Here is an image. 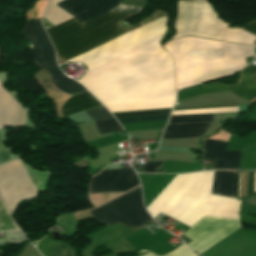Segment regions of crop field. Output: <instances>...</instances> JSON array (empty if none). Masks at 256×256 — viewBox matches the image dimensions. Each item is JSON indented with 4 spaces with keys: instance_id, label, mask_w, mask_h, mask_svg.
<instances>
[{
    "instance_id": "crop-field-1",
    "label": "crop field",
    "mask_w": 256,
    "mask_h": 256,
    "mask_svg": "<svg viewBox=\"0 0 256 256\" xmlns=\"http://www.w3.org/2000/svg\"><path fill=\"white\" fill-rule=\"evenodd\" d=\"M127 14L106 13L85 24L74 18L47 29L61 59L67 61L131 28H119ZM165 16L141 25L70 61L87 66L137 43L165 27ZM163 31L88 68L81 82L111 112L172 108L175 85L172 58L158 46Z\"/></svg>"
},
{
    "instance_id": "crop-field-2",
    "label": "crop field",
    "mask_w": 256,
    "mask_h": 256,
    "mask_svg": "<svg viewBox=\"0 0 256 256\" xmlns=\"http://www.w3.org/2000/svg\"><path fill=\"white\" fill-rule=\"evenodd\" d=\"M163 47L173 58L176 90L233 73L253 55L249 45L195 37L172 40Z\"/></svg>"
},
{
    "instance_id": "crop-field-3",
    "label": "crop field",
    "mask_w": 256,
    "mask_h": 256,
    "mask_svg": "<svg viewBox=\"0 0 256 256\" xmlns=\"http://www.w3.org/2000/svg\"><path fill=\"white\" fill-rule=\"evenodd\" d=\"M208 1H178L176 36L195 35L227 42L252 44L255 36L240 30L226 29Z\"/></svg>"
},
{
    "instance_id": "crop-field-4",
    "label": "crop field",
    "mask_w": 256,
    "mask_h": 256,
    "mask_svg": "<svg viewBox=\"0 0 256 256\" xmlns=\"http://www.w3.org/2000/svg\"><path fill=\"white\" fill-rule=\"evenodd\" d=\"M22 164L17 158L0 165V195L8 210L14 211L19 201L35 197L36 188L45 190L49 172H37L23 164L35 188Z\"/></svg>"
},
{
    "instance_id": "crop-field-5",
    "label": "crop field",
    "mask_w": 256,
    "mask_h": 256,
    "mask_svg": "<svg viewBox=\"0 0 256 256\" xmlns=\"http://www.w3.org/2000/svg\"><path fill=\"white\" fill-rule=\"evenodd\" d=\"M90 213L93 218L107 225L120 222L137 228L152 221L143 207L140 187L91 210Z\"/></svg>"
},
{
    "instance_id": "crop-field-6",
    "label": "crop field",
    "mask_w": 256,
    "mask_h": 256,
    "mask_svg": "<svg viewBox=\"0 0 256 256\" xmlns=\"http://www.w3.org/2000/svg\"><path fill=\"white\" fill-rule=\"evenodd\" d=\"M23 34L33 44V59L51 74L52 82L58 89L69 94L86 91L80 84L66 78L57 67L54 49L39 21H28Z\"/></svg>"
},
{
    "instance_id": "crop-field-7",
    "label": "crop field",
    "mask_w": 256,
    "mask_h": 256,
    "mask_svg": "<svg viewBox=\"0 0 256 256\" xmlns=\"http://www.w3.org/2000/svg\"><path fill=\"white\" fill-rule=\"evenodd\" d=\"M50 1L56 4L63 0ZM50 1L47 3L42 18L55 25L72 17L71 15L85 23L113 9L122 0H65L56 4L71 15L55 6Z\"/></svg>"
},
{
    "instance_id": "crop-field-8",
    "label": "crop field",
    "mask_w": 256,
    "mask_h": 256,
    "mask_svg": "<svg viewBox=\"0 0 256 256\" xmlns=\"http://www.w3.org/2000/svg\"><path fill=\"white\" fill-rule=\"evenodd\" d=\"M230 90L247 100H252L256 98V66H247L241 70V80L238 85L231 87H225L220 84H213L202 87V85H196L186 89L179 90L177 96V101L184 100L190 97H194L200 94Z\"/></svg>"
},
{
    "instance_id": "crop-field-9",
    "label": "crop field",
    "mask_w": 256,
    "mask_h": 256,
    "mask_svg": "<svg viewBox=\"0 0 256 256\" xmlns=\"http://www.w3.org/2000/svg\"><path fill=\"white\" fill-rule=\"evenodd\" d=\"M137 185L133 169L102 171L93 177L89 193L126 191Z\"/></svg>"
},
{
    "instance_id": "crop-field-10",
    "label": "crop field",
    "mask_w": 256,
    "mask_h": 256,
    "mask_svg": "<svg viewBox=\"0 0 256 256\" xmlns=\"http://www.w3.org/2000/svg\"><path fill=\"white\" fill-rule=\"evenodd\" d=\"M227 142L206 139L202 157L214 160V166L222 169H238L241 152L226 151Z\"/></svg>"
},
{
    "instance_id": "crop-field-11",
    "label": "crop field",
    "mask_w": 256,
    "mask_h": 256,
    "mask_svg": "<svg viewBox=\"0 0 256 256\" xmlns=\"http://www.w3.org/2000/svg\"><path fill=\"white\" fill-rule=\"evenodd\" d=\"M25 112L2 88L0 82V128L23 125Z\"/></svg>"
},
{
    "instance_id": "crop-field-12",
    "label": "crop field",
    "mask_w": 256,
    "mask_h": 256,
    "mask_svg": "<svg viewBox=\"0 0 256 256\" xmlns=\"http://www.w3.org/2000/svg\"><path fill=\"white\" fill-rule=\"evenodd\" d=\"M237 178V171H215L211 193L236 198Z\"/></svg>"
},
{
    "instance_id": "crop-field-13",
    "label": "crop field",
    "mask_w": 256,
    "mask_h": 256,
    "mask_svg": "<svg viewBox=\"0 0 256 256\" xmlns=\"http://www.w3.org/2000/svg\"><path fill=\"white\" fill-rule=\"evenodd\" d=\"M209 124L191 123L168 125L162 139L201 136Z\"/></svg>"
},
{
    "instance_id": "crop-field-14",
    "label": "crop field",
    "mask_w": 256,
    "mask_h": 256,
    "mask_svg": "<svg viewBox=\"0 0 256 256\" xmlns=\"http://www.w3.org/2000/svg\"><path fill=\"white\" fill-rule=\"evenodd\" d=\"M101 105L88 91L67 99L62 108V116Z\"/></svg>"
},
{
    "instance_id": "crop-field-15",
    "label": "crop field",
    "mask_w": 256,
    "mask_h": 256,
    "mask_svg": "<svg viewBox=\"0 0 256 256\" xmlns=\"http://www.w3.org/2000/svg\"><path fill=\"white\" fill-rule=\"evenodd\" d=\"M170 109L165 110H152V111H138V112H125V113H112L115 118L127 117V116H138V115H148V114H161L168 113ZM168 114L161 115H149V116H139V117H130V118H120L117 119L120 123L127 122H141V121H158L166 120Z\"/></svg>"
},
{
    "instance_id": "crop-field-16",
    "label": "crop field",
    "mask_w": 256,
    "mask_h": 256,
    "mask_svg": "<svg viewBox=\"0 0 256 256\" xmlns=\"http://www.w3.org/2000/svg\"><path fill=\"white\" fill-rule=\"evenodd\" d=\"M231 106H238V105L198 107V108H217V107H231ZM183 109H197V108H183ZM174 110H181V109H174ZM237 110H238V107L217 108V109L181 110V111H174L173 115L196 114V113H213V112H229V111H237Z\"/></svg>"
},
{
    "instance_id": "crop-field-17",
    "label": "crop field",
    "mask_w": 256,
    "mask_h": 256,
    "mask_svg": "<svg viewBox=\"0 0 256 256\" xmlns=\"http://www.w3.org/2000/svg\"><path fill=\"white\" fill-rule=\"evenodd\" d=\"M203 121H212V115L200 114V115L171 116L168 123H188V122H203Z\"/></svg>"
},
{
    "instance_id": "crop-field-18",
    "label": "crop field",
    "mask_w": 256,
    "mask_h": 256,
    "mask_svg": "<svg viewBox=\"0 0 256 256\" xmlns=\"http://www.w3.org/2000/svg\"><path fill=\"white\" fill-rule=\"evenodd\" d=\"M18 230L0 199V231Z\"/></svg>"
},
{
    "instance_id": "crop-field-19",
    "label": "crop field",
    "mask_w": 256,
    "mask_h": 256,
    "mask_svg": "<svg viewBox=\"0 0 256 256\" xmlns=\"http://www.w3.org/2000/svg\"><path fill=\"white\" fill-rule=\"evenodd\" d=\"M94 123H95L97 131L101 134L122 129L121 126L118 124V122L115 119L97 121Z\"/></svg>"
},
{
    "instance_id": "crop-field-20",
    "label": "crop field",
    "mask_w": 256,
    "mask_h": 256,
    "mask_svg": "<svg viewBox=\"0 0 256 256\" xmlns=\"http://www.w3.org/2000/svg\"><path fill=\"white\" fill-rule=\"evenodd\" d=\"M86 112L93 121L113 118V116L103 106L86 110Z\"/></svg>"
},
{
    "instance_id": "crop-field-21",
    "label": "crop field",
    "mask_w": 256,
    "mask_h": 256,
    "mask_svg": "<svg viewBox=\"0 0 256 256\" xmlns=\"http://www.w3.org/2000/svg\"><path fill=\"white\" fill-rule=\"evenodd\" d=\"M142 8L138 7H131V6H126L119 4L116 6L112 11L110 12H115V13H130V14H138Z\"/></svg>"
},
{
    "instance_id": "crop-field-22",
    "label": "crop field",
    "mask_w": 256,
    "mask_h": 256,
    "mask_svg": "<svg viewBox=\"0 0 256 256\" xmlns=\"http://www.w3.org/2000/svg\"><path fill=\"white\" fill-rule=\"evenodd\" d=\"M51 256H73L67 247L57 242Z\"/></svg>"
},
{
    "instance_id": "crop-field-23",
    "label": "crop field",
    "mask_w": 256,
    "mask_h": 256,
    "mask_svg": "<svg viewBox=\"0 0 256 256\" xmlns=\"http://www.w3.org/2000/svg\"><path fill=\"white\" fill-rule=\"evenodd\" d=\"M162 163H163V161L148 162L146 165H142L143 172L157 173L156 169L160 168Z\"/></svg>"
},
{
    "instance_id": "crop-field-24",
    "label": "crop field",
    "mask_w": 256,
    "mask_h": 256,
    "mask_svg": "<svg viewBox=\"0 0 256 256\" xmlns=\"http://www.w3.org/2000/svg\"><path fill=\"white\" fill-rule=\"evenodd\" d=\"M9 156L6 152V150L3 148V146L1 145V138H0V163H3L7 160H9Z\"/></svg>"
},
{
    "instance_id": "crop-field-25",
    "label": "crop field",
    "mask_w": 256,
    "mask_h": 256,
    "mask_svg": "<svg viewBox=\"0 0 256 256\" xmlns=\"http://www.w3.org/2000/svg\"><path fill=\"white\" fill-rule=\"evenodd\" d=\"M244 29L256 34V23L249 24L248 26L244 27Z\"/></svg>"
},
{
    "instance_id": "crop-field-26",
    "label": "crop field",
    "mask_w": 256,
    "mask_h": 256,
    "mask_svg": "<svg viewBox=\"0 0 256 256\" xmlns=\"http://www.w3.org/2000/svg\"><path fill=\"white\" fill-rule=\"evenodd\" d=\"M244 202H248V203L256 205V195H253V196H250V197L244 199Z\"/></svg>"
},
{
    "instance_id": "crop-field-27",
    "label": "crop field",
    "mask_w": 256,
    "mask_h": 256,
    "mask_svg": "<svg viewBox=\"0 0 256 256\" xmlns=\"http://www.w3.org/2000/svg\"><path fill=\"white\" fill-rule=\"evenodd\" d=\"M0 58H1V52H0Z\"/></svg>"
},
{
    "instance_id": "crop-field-28",
    "label": "crop field",
    "mask_w": 256,
    "mask_h": 256,
    "mask_svg": "<svg viewBox=\"0 0 256 256\" xmlns=\"http://www.w3.org/2000/svg\"><path fill=\"white\" fill-rule=\"evenodd\" d=\"M142 1H145V0H142Z\"/></svg>"
}]
</instances>
